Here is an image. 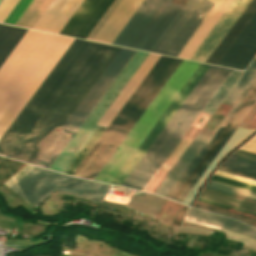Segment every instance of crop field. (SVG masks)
Returning a JSON list of instances; mask_svg holds the SVG:
<instances>
[{
  "instance_id": "32",
  "label": "crop field",
  "mask_w": 256,
  "mask_h": 256,
  "mask_svg": "<svg viewBox=\"0 0 256 256\" xmlns=\"http://www.w3.org/2000/svg\"><path fill=\"white\" fill-rule=\"evenodd\" d=\"M240 150L248 151L256 154V136H254L249 142H247Z\"/></svg>"
},
{
  "instance_id": "34",
  "label": "crop field",
  "mask_w": 256,
  "mask_h": 256,
  "mask_svg": "<svg viewBox=\"0 0 256 256\" xmlns=\"http://www.w3.org/2000/svg\"><path fill=\"white\" fill-rule=\"evenodd\" d=\"M175 230L197 231V232L208 233V234L212 233V231H210V230H204V229H198V228H192V227L176 228Z\"/></svg>"
},
{
  "instance_id": "17",
  "label": "crop field",
  "mask_w": 256,
  "mask_h": 256,
  "mask_svg": "<svg viewBox=\"0 0 256 256\" xmlns=\"http://www.w3.org/2000/svg\"><path fill=\"white\" fill-rule=\"evenodd\" d=\"M83 0H54L34 30L59 34Z\"/></svg>"
},
{
  "instance_id": "26",
  "label": "crop field",
  "mask_w": 256,
  "mask_h": 256,
  "mask_svg": "<svg viewBox=\"0 0 256 256\" xmlns=\"http://www.w3.org/2000/svg\"><path fill=\"white\" fill-rule=\"evenodd\" d=\"M222 166L241 170L256 175V163L230 156Z\"/></svg>"
},
{
  "instance_id": "9",
  "label": "crop field",
  "mask_w": 256,
  "mask_h": 256,
  "mask_svg": "<svg viewBox=\"0 0 256 256\" xmlns=\"http://www.w3.org/2000/svg\"><path fill=\"white\" fill-rule=\"evenodd\" d=\"M210 1L189 0L174 19L169 28L166 30V32L163 34V36L160 38V40L157 42V44L154 46V48L151 50V52L177 57V55L180 53V51L183 49V47L186 45V43L201 25V23L206 20V18L209 16V14L220 0Z\"/></svg>"
},
{
  "instance_id": "23",
  "label": "crop field",
  "mask_w": 256,
  "mask_h": 256,
  "mask_svg": "<svg viewBox=\"0 0 256 256\" xmlns=\"http://www.w3.org/2000/svg\"><path fill=\"white\" fill-rule=\"evenodd\" d=\"M33 0H5L3 2V4L0 6V23H3L5 20V24H11V25H15V23L18 21V19L21 17V15L24 13V11L27 9V7L30 5V3Z\"/></svg>"
},
{
  "instance_id": "30",
  "label": "crop field",
  "mask_w": 256,
  "mask_h": 256,
  "mask_svg": "<svg viewBox=\"0 0 256 256\" xmlns=\"http://www.w3.org/2000/svg\"><path fill=\"white\" fill-rule=\"evenodd\" d=\"M215 175H219V176L234 179V180H237V181L245 182V183H248V184L256 185V181H254V180L247 179V178L240 177V176L233 175V174H229V173H226V172L218 171V170H216Z\"/></svg>"
},
{
  "instance_id": "1",
  "label": "crop field",
  "mask_w": 256,
  "mask_h": 256,
  "mask_svg": "<svg viewBox=\"0 0 256 256\" xmlns=\"http://www.w3.org/2000/svg\"><path fill=\"white\" fill-rule=\"evenodd\" d=\"M119 50L75 39L0 139V154L34 165Z\"/></svg>"
},
{
  "instance_id": "40",
  "label": "crop field",
  "mask_w": 256,
  "mask_h": 256,
  "mask_svg": "<svg viewBox=\"0 0 256 256\" xmlns=\"http://www.w3.org/2000/svg\"><path fill=\"white\" fill-rule=\"evenodd\" d=\"M2 0H0V2H1Z\"/></svg>"
},
{
  "instance_id": "4",
  "label": "crop field",
  "mask_w": 256,
  "mask_h": 256,
  "mask_svg": "<svg viewBox=\"0 0 256 256\" xmlns=\"http://www.w3.org/2000/svg\"><path fill=\"white\" fill-rule=\"evenodd\" d=\"M181 61L161 56L73 176L93 180Z\"/></svg>"
},
{
  "instance_id": "27",
  "label": "crop field",
  "mask_w": 256,
  "mask_h": 256,
  "mask_svg": "<svg viewBox=\"0 0 256 256\" xmlns=\"http://www.w3.org/2000/svg\"><path fill=\"white\" fill-rule=\"evenodd\" d=\"M193 207L203 209V210H206V211H210V212H213V213L221 214V215H224V216L236 218V219H238V220H240V221H242L246 224H249L253 227H256V220L251 219V218L243 217V216H240V215H236V214H233V213L225 212V211H222V210L214 209V208L207 207V206L200 205V204H196V203L194 204Z\"/></svg>"
},
{
  "instance_id": "7",
  "label": "crop field",
  "mask_w": 256,
  "mask_h": 256,
  "mask_svg": "<svg viewBox=\"0 0 256 256\" xmlns=\"http://www.w3.org/2000/svg\"><path fill=\"white\" fill-rule=\"evenodd\" d=\"M110 187L36 167L10 189L36 206L54 191L102 202Z\"/></svg>"
},
{
  "instance_id": "12",
  "label": "crop field",
  "mask_w": 256,
  "mask_h": 256,
  "mask_svg": "<svg viewBox=\"0 0 256 256\" xmlns=\"http://www.w3.org/2000/svg\"><path fill=\"white\" fill-rule=\"evenodd\" d=\"M209 67V65L200 64V66L173 100L171 105L141 143L139 148L112 182L113 185H122L128 175L131 173V171L134 169V167L137 165V163L140 161V159L143 157V155L146 153V151L149 149V147L152 145V143L155 141V139L158 137V135L161 133V131L164 129V127L167 125V123L170 121V119L173 117V115L176 113V111L179 109V107L182 105V103L185 101V99L188 97L200 79L203 77V75L206 73V71L209 69Z\"/></svg>"
},
{
  "instance_id": "6",
  "label": "crop field",
  "mask_w": 256,
  "mask_h": 256,
  "mask_svg": "<svg viewBox=\"0 0 256 256\" xmlns=\"http://www.w3.org/2000/svg\"><path fill=\"white\" fill-rule=\"evenodd\" d=\"M171 2L145 0L113 44L150 52L182 9Z\"/></svg>"
},
{
  "instance_id": "38",
  "label": "crop field",
  "mask_w": 256,
  "mask_h": 256,
  "mask_svg": "<svg viewBox=\"0 0 256 256\" xmlns=\"http://www.w3.org/2000/svg\"><path fill=\"white\" fill-rule=\"evenodd\" d=\"M222 230H226V229L222 228ZM226 231H229V230H226ZM230 232H232V231H230ZM234 233H235V232H234ZM234 233H233V234H234Z\"/></svg>"
},
{
  "instance_id": "14",
  "label": "crop field",
  "mask_w": 256,
  "mask_h": 256,
  "mask_svg": "<svg viewBox=\"0 0 256 256\" xmlns=\"http://www.w3.org/2000/svg\"><path fill=\"white\" fill-rule=\"evenodd\" d=\"M256 54V13L217 63L218 66L244 70Z\"/></svg>"
},
{
  "instance_id": "39",
  "label": "crop field",
  "mask_w": 256,
  "mask_h": 256,
  "mask_svg": "<svg viewBox=\"0 0 256 256\" xmlns=\"http://www.w3.org/2000/svg\"><path fill=\"white\" fill-rule=\"evenodd\" d=\"M237 234H238V233H237ZM237 234H236V235H237ZM240 235H241V234H240ZM240 235H239V236H240ZM245 237H246V236H245ZM241 238H242V237H241ZM248 238H249V237H248ZM244 239H245V238H244Z\"/></svg>"
},
{
  "instance_id": "15",
  "label": "crop field",
  "mask_w": 256,
  "mask_h": 256,
  "mask_svg": "<svg viewBox=\"0 0 256 256\" xmlns=\"http://www.w3.org/2000/svg\"><path fill=\"white\" fill-rule=\"evenodd\" d=\"M114 0H84L61 35L86 39Z\"/></svg>"
},
{
  "instance_id": "11",
  "label": "crop field",
  "mask_w": 256,
  "mask_h": 256,
  "mask_svg": "<svg viewBox=\"0 0 256 256\" xmlns=\"http://www.w3.org/2000/svg\"><path fill=\"white\" fill-rule=\"evenodd\" d=\"M255 76L256 57L246 69L241 78L238 80V82L235 84V86L232 88V90L229 92V94L226 96V98L223 100V102L234 105V103L237 101V99L240 97V95ZM211 134L212 131L204 129L201 130V132L198 134V136L195 138V140L192 142V144L189 146V148L186 150V152L183 154V156L159 186V188L156 190L155 194L165 197V195L168 193V191L171 189V187L174 185V183L177 181V179L180 177V175L183 173L188 164L191 162V160L194 158V156L197 154V152L200 150V148Z\"/></svg>"
},
{
  "instance_id": "25",
  "label": "crop field",
  "mask_w": 256,
  "mask_h": 256,
  "mask_svg": "<svg viewBox=\"0 0 256 256\" xmlns=\"http://www.w3.org/2000/svg\"><path fill=\"white\" fill-rule=\"evenodd\" d=\"M205 188L256 201V193L209 180Z\"/></svg>"
},
{
  "instance_id": "29",
  "label": "crop field",
  "mask_w": 256,
  "mask_h": 256,
  "mask_svg": "<svg viewBox=\"0 0 256 256\" xmlns=\"http://www.w3.org/2000/svg\"><path fill=\"white\" fill-rule=\"evenodd\" d=\"M34 166L27 165L24 167L20 172H18L14 177H12L8 182H6L4 185L7 187L13 186L17 181H19L22 177H24L27 173H29Z\"/></svg>"
},
{
  "instance_id": "3",
  "label": "crop field",
  "mask_w": 256,
  "mask_h": 256,
  "mask_svg": "<svg viewBox=\"0 0 256 256\" xmlns=\"http://www.w3.org/2000/svg\"><path fill=\"white\" fill-rule=\"evenodd\" d=\"M230 72V69L210 67L123 183V187L142 191Z\"/></svg>"
},
{
  "instance_id": "28",
  "label": "crop field",
  "mask_w": 256,
  "mask_h": 256,
  "mask_svg": "<svg viewBox=\"0 0 256 256\" xmlns=\"http://www.w3.org/2000/svg\"><path fill=\"white\" fill-rule=\"evenodd\" d=\"M211 180H215V181H218V182H222V183H225V184H229V185H232V186H236V187H240V188H243V189H247V190L256 192V186L248 185V184H245V183L237 182V181L226 179V178H223V177L213 175Z\"/></svg>"
},
{
  "instance_id": "24",
  "label": "crop field",
  "mask_w": 256,
  "mask_h": 256,
  "mask_svg": "<svg viewBox=\"0 0 256 256\" xmlns=\"http://www.w3.org/2000/svg\"><path fill=\"white\" fill-rule=\"evenodd\" d=\"M199 198L207 199L210 201H214L217 203L225 204L228 206H232L235 208L243 209L246 211H250L253 213H256V204L245 202L242 200L230 198L227 196L219 195L216 193L208 192V191H202L199 195Z\"/></svg>"
},
{
  "instance_id": "33",
  "label": "crop field",
  "mask_w": 256,
  "mask_h": 256,
  "mask_svg": "<svg viewBox=\"0 0 256 256\" xmlns=\"http://www.w3.org/2000/svg\"><path fill=\"white\" fill-rule=\"evenodd\" d=\"M232 156H236V157H240V158H243V159H247V160H251V161L256 162V155L248 153V152L238 150L235 153H233Z\"/></svg>"
},
{
  "instance_id": "2",
  "label": "crop field",
  "mask_w": 256,
  "mask_h": 256,
  "mask_svg": "<svg viewBox=\"0 0 256 256\" xmlns=\"http://www.w3.org/2000/svg\"><path fill=\"white\" fill-rule=\"evenodd\" d=\"M26 32L0 24V66ZM73 41L28 30L0 68V138Z\"/></svg>"
},
{
  "instance_id": "13",
  "label": "crop field",
  "mask_w": 256,
  "mask_h": 256,
  "mask_svg": "<svg viewBox=\"0 0 256 256\" xmlns=\"http://www.w3.org/2000/svg\"><path fill=\"white\" fill-rule=\"evenodd\" d=\"M159 57H160L159 55H153V54L149 55V57L146 59V61L143 63V65L140 67V69L137 71V73L134 75V77L131 79V81L128 83V85L125 87V89L122 91V93L118 96V98L115 100V102L109 108V110L106 112V114L103 116V118L97 124V126H101V127H105V128L108 127V125L111 123V121L117 115V113L120 111V109L123 107V105L129 99V97L132 95V93L135 91V89L138 87V85L141 83V81L144 79V77L147 75V73L150 71V69L153 67V65L156 63V61L159 59ZM101 127H99V129L96 131V133L90 139V141L87 143V145L84 147V149L78 155V157L75 159V161L69 167V169L66 171V174L72 175V173L75 171V169L81 163V161L84 159V157L87 155V153L93 147V145L96 143V141L102 135V133L105 131V128H101Z\"/></svg>"
},
{
  "instance_id": "18",
  "label": "crop field",
  "mask_w": 256,
  "mask_h": 256,
  "mask_svg": "<svg viewBox=\"0 0 256 256\" xmlns=\"http://www.w3.org/2000/svg\"><path fill=\"white\" fill-rule=\"evenodd\" d=\"M143 0H124L94 41L112 44Z\"/></svg>"
},
{
  "instance_id": "31",
  "label": "crop field",
  "mask_w": 256,
  "mask_h": 256,
  "mask_svg": "<svg viewBox=\"0 0 256 256\" xmlns=\"http://www.w3.org/2000/svg\"><path fill=\"white\" fill-rule=\"evenodd\" d=\"M218 170L226 171V172H229V173L237 174V175H240V176H244V177L256 180V176L255 175L244 173V172L237 171V170H233V169H230V168L219 166Z\"/></svg>"
},
{
  "instance_id": "35",
  "label": "crop field",
  "mask_w": 256,
  "mask_h": 256,
  "mask_svg": "<svg viewBox=\"0 0 256 256\" xmlns=\"http://www.w3.org/2000/svg\"><path fill=\"white\" fill-rule=\"evenodd\" d=\"M226 235L229 236V237L241 239V238H239V237H236V236H233V235H230V234H226ZM227 238H228V237H227ZM229 239H232V238H229ZM232 240H234V241H240V240H236V239H232ZM241 240H244V239H241ZM245 241H246V240H245ZM241 242H243L244 244H247V245H249V246H252V247L256 248V243H253V242H250V241H247V242L241 241ZM244 248H246V245H244Z\"/></svg>"
},
{
  "instance_id": "22",
  "label": "crop field",
  "mask_w": 256,
  "mask_h": 256,
  "mask_svg": "<svg viewBox=\"0 0 256 256\" xmlns=\"http://www.w3.org/2000/svg\"><path fill=\"white\" fill-rule=\"evenodd\" d=\"M164 201L165 199L157 196L138 192L129 208L142 211V215L155 218Z\"/></svg>"
},
{
  "instance_id": "8",
  "label": "crop field",
  "mask_w": 256,
  "mask_h": 256,
  "mask_svg": "<svg viewBox=\"0 0 256 256\" xmlns=\"http://www.w3.org/2000/svg\"><path fill=\"white\" fill-rule=\"evenodd\" d=\"M135 53V50L121 48L48 149L37 160L36 166L49 169Z\"/></svg>"
},
{
  "instance_id": "37",
  "label": "crop field",
  "mask_w": 256,
  "mask_h": 256,
  "mask_svg": "<svg viewBox=\"0 0 256 256\" xmlns=\"http://www.w3.org/2000/svg\"><path fill=\"white\" fill-rule=\"evenodd\" d=\"M185 222H189V223H193V224H197V225H201V226H205V227H209V228H214V229H218V230L221 229V228H218V227L204 225V224H200V223H195V222H191V221H187V220H185Z\"/></svg>"
},
{
  "instance_id": "5",
  "label": "crop field",
  "mask_w": 256,
  "mask_h": 256,
  "mask_svg": "<svg viewBox=\"0 0 256 256\" xmlns=\"http://www.w3.org/2000/svg\"><path fill=\"white\" fill-rule=\"evenodd\" d=\"M255 103L256 77L166 195V198L182 202Z\"/></svg>"
},
{
  "instance_id": "19",
  "label": "crop field",
  "mask_w": 256,
  "mask_h": 256,
  "mask_svg": "<svg viewBox=\"0 0 256 256\" xmlns=\"http://www.w3.org/2000/svg\"><path fill=\"white\" fill-rule=\"evenodd\" d=\"M255 11L256 0H252L237 19V21L234 23V25L231 27V29L228 31V33L225 35V37L222 39V41L219 43V45L216 47V49L213 51V53L210 55V57L207 59L206 63L216 65V63L219 61V59L222 57V55L243 29Z\"/></svg>"
},
{
  "instance_id": "21",
  "label": "crop field",
  "mask_w": 256,
  "mask_h": 256,
  "mask_svg": "<svg viewBox=\"0 0 256 256\" xmlns=\"http://www.w3.org/2000/svg\"><path fill=\"white\" fill-rule=\"evenodd\" d=\"M232 1L233 0L220 1V3L216 6V8L210 14V16L198 30V32L180 54V58H190V56L193 54V52L196 50V48L199 46V44L202 42V40L205 38V36L208 34V32L211 30V28L214 26V24L217 22V20L220 18V16L223 14V12Z\"/></svg>"
},
{
  "instance_id": "20",
  "label": "crop field",
  "mask_w": 256,
  "mask_h": 256,
  "mask_svg": "<svg viewBox=\"0 0 256 256\" xmlns=\"http://www.w3.org/2000/svg\"><path fill=\"white\" fill-rule=\"evenodd\" d=\"M186 216L195 218L197 219V222H200V223L224 227L229 230L256 238V229H253L233 219L221 217L218 215L206 213V212L191 209V208L189 209Z\"/></svg>"
},
{
  "instance_id": "36",
  "label": "crop field",
  "mask_w": 256,
  "mask_h": 256,
  "mask_svg": "<svg viewBox=\"0 0 256 256\" xmlns=\"http://www.w3.org/2000/svg\"><path fill=\"white\" fill-rule=\"evenodd\" d=\"M197 201L205 202V203H208V204L216 205V206L227 208V209L230 208V207H226V206H223V205H220V204H216V203H213V202H209V201H206V200H203V199H199V198H197ZM231 209H233V208H231ZM235 210H237V209H235ZM238 211H241V210H238ZM242 212H245V211H242ZM246 213H248V212H246ZM249 214H252V213H249ZM253 215H256V214H253Z\"/></svg>"
},
{
  "instance_id": "16",
  "label": "crop field",
  "mask_w": 256,
  "mask_h": 256,
  "mask_svg": "<svg viewBox=\"0 0 256 256\" xmlns=\"http://www.w3.org/2000/svg\"><path fill=\"white\" fill-rule=\"evenodd\" d=\"M249 2L250 0H234L190 59L205 62Z\"/></svg>"
},
{
  "instance_id": "10",
  "label": "crop field",
  "mask_w": 256,
  "mask_h": 256,
  "mask_svg": "<svg viewBox=\"0 0 256 256\" xmlns=\"http://www.w3.org/2000/svg\"><path fill=\"white\" fill-rule=\"evenodd\" d=\"M148 55H149L148 53L137 51V53L134 55V57L131 59V61L128 63V65L125 67V69L119 75V77L116 79V81L113 83V85L107 91V93L104 95V97L101 99V101L98 103V105L92 111V113L89 115V117L86 119V121L80 127V129L77 131V133L74 135V137L68 143V145L62 151V153L59 155V157L56 159V161L53 163V165L50 167L51 170H55V171H59V172L62 171V169L65 167V165L71 159V157L74 155V153L80 147V145L83 143V141L89 135V133L93 130L95 125L98 123V121L104 115V113L107 111V109L113 103V101L117 98V96L120 94V92L126 86V84L129 82V80L133 77V75L136 73V71L139 69V67L142 65V63L145 61V59L148 57Z\"/></svg>"
}]
</instances>
